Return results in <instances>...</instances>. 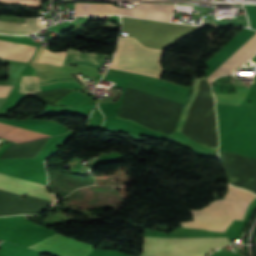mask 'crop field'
<instances>
[{
  "instance_id": "8",
  "label": "crop field",
  "mask_w": 256,
  "mask_h": 256,
  "mask_svg": "<svg viewBox=\"0 0 256 256\" xmlns=\"http://www.w3.org/2000/svg\"><path fill=\"white\" fill-rule=\"evenodd\" d=\"M135 7L172 12L175 5L139 4ZM122 15L169 21L172 13L144 10V9H136V8H124Z\"/></svg>"
},
{
  "instance_id": "6",
  "label": "crop field",
  "mask_w": 256,
  "mask_h": 256,
  "mask_svg": "<svg viewBox=\"0 0 256 256\" xmlns=\"http://www.w3.org/2000/svg\"><path fill=\"white\" fill-rule=\"evenodd\" d=\"M47 185L0 174V190L53 202L55 196L46 192Z\"/></svg>"
},
{
  "instance_id": "15",
  "label": "crop field",
  "mask_w": 256,
  "mask_h": 256,
  "mask_svg": "<svg viewBox=\"0 0 256 256\" xmlns=\"http://www.w3.org/2000/svg\"><path fill=\"white\" fill-rule=\"evenodd\" d=\"M0 1L10 2V3H17V4H25V5L41 6V4L45 0H0Z\"/></svg>"
},
{
  "instance_id": "4",
  "label": "crop field",
  "mask_w": 256,
  "mask_h": 256,
  "mask_svg": "<svg viewBox=\"0 0 256 256\" xmlns=\"http://www.w3.org/2000/svg\"><path fill=\"white\" fill-rule=\"evenodd\" d=\"M256 53V33L249 38L239 49H237L226 61H224L214 72L207 78L211 82L214 78L221 75L233 74L234 70L241 64L245 63ZM242 64L237 68L239 69ZM236 69V70H237ZM205 76L194 80L193 93L189 98L188 103L183 107L181 118L176 131L182 132L188 115L191 111L197 93L199 91V80L207 79Z\"/></svg>"
},
{
  "instance_id": "3",
  "label": "crop field",
  "mask_w": 256,
  "mask_h": 256,
  "mask_svg": "<svg viewBox=\"0 0 256 256\" xmlns=\"http://www.w3.org/2000/svg\"><path fill=\"white\" fill-rule=\"evenodd\" d=\"M229 244L227 237L164 238L145 235L141 256H205L210 251Z\"/></svg>"
},
{
  "instance_id": "10",
  "label": "crop field",
  "mask_w": 256,
  "mask_h": 256,
  "mask_svg": "<svg viewBox=\"0 0 256 256\" xmlns=\"http://www.w3.org/2000/svg\"><path fill=\"white\" fill-rule=\"evenodd\" d=\"M52 135L36 132L33 130L0 123V137L15 142H26L38 138L48 137Z\"/></svg>"
},
{
  "instance_id": "7",
  "label": "crop field",
  "mask_w": 256,
  "mask_h": 256,
  "mask_svg": "<svg viewBox=\"0 0 256 256\" xmlns=\"http://www.w3.org/2000/svg\"><path fill=\"white\" fill-rule=\"evenodd\" d=\"M46 49L40 47L32 62L40 63ZM106 58L104 54L83 53L76 49H67L65 65L69 64H86L98 68L102 61Z\"/></svg>"
},
{
  "instance_id": "9",
  "label": "crop field",
  "mask_w": 256,
  "mask_h": 256,
  "mask_svg": "<svg viewBox=\"0 0 256 256\" xmlns=\"http://www.w3.org/2000/svg\"><path fill=\"white\" fill-rule=\"evenodd\" d=\"M37 47L0 41V57L28 62Z\"/></svg>"
},
{
  "instance_id": "13",
  "label": "crop field",
  "mask_w": 256,
  "mask_h": 256,
  "mask_svg": "<svg viewBox=\"0 0 256 256\" xmlns=\"http://www.w3.org/2000/svg\"><path fill=\"white\" fill-rule=\"evenodd\" d=\"M20 86L22 92L44 91L43 79L37 77H22Z\"/></svg>"
},
{
  "instance_id": "16",
  "label": "crop field",
  "mask_w": 256,
  "mask_h": 256,
  "mask_svg": "<svg viewBox=\"0 0 256 256\" xmlns=\"http://www.w3.org/2000/svg\"><path fill=\"white\" fill-rule=\"evenodd\" d=\"M14 86H0V97H8Z\"/></svg>"
},
{
  "instance_id": "17",
  "label": "crop field",
  "mask_w": 256,
  "mask_h": 256,
  "mask_svg": "<svg viewBox=\"0 0 256 256\" xmlns=\"http://www.w3.org/2000/svg\"><path fill=\"white\" fill-rule=\"evenodd\" d=\"M77 76L85 83V81L79 75H77Z\"/></svg>"
},
{
  "instance_id": "12",
  "label": "crop field",
  "mask_w": 256,
  "mask_h": 256,
  "mask_svg": "<svg viewBox=\"0 0 256 256\" xmlns=\"http://www.w3.org/2000/svg\"><path fill=\"white\" fill-rule=\"evenodd\" d=\"M90 99L91 98L87 95H84L78 91L70 90L57 105H68L69 107L75 109L83 102Z\"/></svg>"
},
{
  "instance_id": "5",
  "label": "crop field",
  "mask_w": 256,
  "mask_h": 256,
  "mask_svg": "<svg viewBox=\"0 0 256 256\" xmlns=\"http://www.w3.org/2000/svg\"><path fill=\"white\" fill-rule=\"evenodd\" d=\"M94 247L56 233L28 248L53 256H87Z\"/></svg>"
},
{
  "instance_id": "11",
  "label": "crop field",
  "mask_w": 256,
  "mask_h": 256,
  "mask_svg": "<svg viewBox=\"0 0 256 256\" xmlns=\"http://www.w3.org/2000/svg\"><path fill=\"white\" fill-rule=\"evenodd\" d=\"M44 27V24H39V19H26V24L0 22V33L32 34Z\"/></svg>"
},
{
  "instance_id": "14",
  "label": "crop field",
  "mask_w": 256,
  "mask_h": 256,
  "mask_svg": "<svg viewBox=\"0 0 256 256\" xmlns=\"http://www.w3.org/2000/svg\"><path fill=\"white\" fill-rule=\"evenodd\" d=\"M211 25H213V26H218V25L248 26V23H247V19L245 16L238 15L237 20L213 19Z\"/></svg>"
},
{
  "instance_id": "1",
  "label": "crop field",
  "mask_w": 256,
  "mask_h": 256,
  "mask_svg": "<svg viewBox=\"0 0 256 256\" xmlns=\"http://www.w3.org/2000/svg\"><path fill=\"white\" fill-rule=\"evenodd\" d=\"M256 196L230 186L225 200L215 201L200 210H191L194 221L181 223L186 228H203L224 232L234 220H243L249 204Z\"/></svg>"
},
{
  "instance_id": "2",
  "label": "crop field",
  "mask_w": 256,
  "mask_h": 256,
  "mask_svg": "<svg viewBox=\"0 0 256 256\" xmlns=\"http://www.w3.org/2000/svg\"><path fill=\"white\" fill-rule=\"evenodd\" d=\"M163 50L147 48L133 37H119L112 69L160 78Z\"/></svg>"
}]
</instances>
